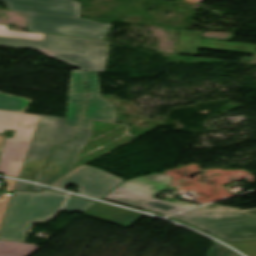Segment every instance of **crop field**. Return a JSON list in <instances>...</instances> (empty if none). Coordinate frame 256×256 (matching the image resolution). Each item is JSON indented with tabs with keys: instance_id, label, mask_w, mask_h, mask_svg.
<instances>
[{
	"instance_id": "crop-field-17",
	"label": "crop field",
	"mask_w": 256,
	"mask_h": 256,
	"mask_svg": "<svg viewBox=\"0 0 256 256\" xmlns=\"http://www.w3.org/2000/svg\"><path fill=\"white\" fill-rule=\"evenodd\" d=\"M69 94H87L84 71L72 69Z\"/></svg>"
},
{
	"instance_id": "crop-field-25",
	"label": "crop field",
	"mask_w": 256,
	"mask_h": 256,
	"mask_svg": "<svg viewBox=\"0 0 256 256\" xmlns=\"http://www.w3.org/2000/svg\"><path fill=\"white\" fill-rule=\"evenodd\" d=\"M218 256H240V255H238L237 253H235L227 248L222 247Z\"/></svg>"
},
{
	"instance_id": "crop-field-4",
	"label": "crop field",
	"mask_w": 256,
	"mask_h": 256,
	"mask_svg": "<svg viewBox=\"0 0 256 256\" xmlns=\"http://www.w3.org/2000/svg\"><path fill=\"white\" fill-rule=\"evenodd\" d=\"M172 184L170 176L154 173L124 181L104 199L145 209L164 216L184 211L198 204L175 200L166 202L153 198L157 193L167 189Z\"/></svg>"
},
{
	"instance_id": "crop-field-6",
	"label": "crop field",
	"mask_w": 256,
	"mask_h": 256,
	"mask_svg": "<svg viewBox=\"0 0 256 256\" xmlns=\"http://www.w3.org/2000/svg\"><path fill=\"white\" fill-rule=\"evenodd\" d=\"M41 115L0 111V133L16 130L6 138L0 155V172L18 177Z\"/></svg>"
},
{
	"instance_id": "crop-field-11",
	"label": "crop field",
	"mask_w": 256,
	"mask_h": 256,
	"mask_svg": "<svg viewBox=\"0 0 256 256\" xmlns=\"http://www.w3.org/2000/svg\"><path fill=\"white\" fill-rule=\"evenodd\" d=\"M93 120L116 123L112 103L101 96H88L80 128L91 129Z\"/></svg>"
},
{
	"instance_id": "crop-field-8",
	"label": "crop field",
	"mask_w": 256,
	"mask_h": 256,
	"mask_svg": "<svg viewBox=\"0 0 256 256\" xmlns=\"http://www.w3.org/2000/svg\"><path fill=\"white\" fill-rule=\"evenodd\" d=\"M121 181L123 180L114 175L82 165L69 171L50 186L65 189L74 184L81 186L78 189L80 194L101 198Z\"/></svg>"
},
{
	"instance_id": "crop-field-1",
	"label": "crop field",
	"mask_w": 256,
	"mask_h": 256,
	"mask_svg": "<svg viewBox=\"0 0 256 256\" xmlns=\"http://www.w3.org/2000/svg\"><path fill=\"white\" fill-rule=\"evenodd\" d=\"M0 46L38 50L81 70L103 72L109 42L46 35L43 42L0 37Z\"/></svg>"
},
{
	"instance_id": "crop-field-27",
	"label": "crop field",
	"mask_w": 256,
	"mask_h": 256,
	"mask_svg": "<svg viewBox=\"0 0 256 256\" xmlns=\"http://www.w3.org/2000/svg\"><path fill=\"white\" fill-rule=\"evenodd\" d=\"M220 248H221L220 244L215 242V244H214V246H213L209 256H217Z\"/></svg>"
},
{
	"instance_id": "crop-field-12",
	"label": "crop field",
	"mask_w": 256,
	"mask_h": 256,
	"mask_svg": "<svg viewBox=\"0 0 256 256\" xmlns=\"http://www.w3.org/2000/svg\"><path fill=\"white\" fill-rule=\"evenodd\" d=\"M83 215L128 227L143 214L127 211L103 203H96Z\"/></svg>"
},
{
	"instance_id": "crop-field-5",
	"label": "crop field",
	"mask_w": 256,
	"mask_h": 256,
	"mask_svg": "<svg viewBox=\"0 0 256 256\" xmlns=\"http://www.w3.org/2000/svg\"><path fill=\"white\" fill-rule=\"evenodd\" d=\"M66 118L42 115L20 178L39 182L52 146L78 135V128L65 127Z\"/></svg>"
},
{
	"instance_id": "crop-field-20",
	"label": "crop field",
	"mask_w": 256,
	"mask_h": 256,
	"mask_svg": "<svg viewBox=\"0 0 256 256\" xmlns=\"http://www.w3.org/2000/svg\"><path fill=\"white\" fill-rule=\"evenodd\" d=\"M95 202L69 197L66 205L62 209V211H78V212H85L89 209Z\"/></svg>"
},
{
	"instance_id": "crop-field-16",
	"label": "crop field",
	"mask_w": 256,
	"mask_h": 256,
	"mask_svg": "<svg viewBox=\"0 0 256 256\" xmlns=\"http://www.w3.org/2000/svg\"><path fill=\"white\" fill-rule=\"evenodd\" d=\"M86 96L69 95L66 126L78 127Z\"/></svg>"
},
{
	"instance_id": "crop-field-18",
	"label": "crop field",
	"mask_w": 256,
	"mask_h": 256,
	"mask_svg": "<svg viewBox=\"0 0 256 256\" xmlns=\"http://www.w3.org/2000/svg\"><path fill=\"white\" fill-rule=\"evenodd\" d=\"M26 99L0 94V110L20 112Z\"/></svg>"
},
{
	"instance_id": "crop-field-23",
	"label": "crop field",
	"mask_w": 256,
	"mask_h": 256,
	"mask_svg": "<svg viewBox=\"0 0 256 256\" xmlns=\"http://www.w3.org/2000/svg\"><path fill=\"white\" fill-rule=\"evenodd\" d=\"M42 189L43 188L38 187L36 185L18 181L14 190L39 192Z\"/></svg>"
},
{
	"instance_id": "crop-field-9",
	"label": "crop field",
	"mask_w": 256,
	"mask_h": 256,
	"mask_svg": "<svg viewBox=\"0 0 256 256\" xmlns=\"http://www.w3.org/2000/svg\"><path fill=\"white\" fill-rule=\"evenodd\" d=\"M90 132L91 130L89 129H80L78 138L53 148L42 183L49 185L72 169L78 152L86 144Z\"/></svg>"
},
{
	"instance_id": "crop-field-10",
	"label": "crop field",
	"mask_w": 256,
	"mask_h": 256,
	"mask_svg": "<svg viewBox=\"0 0 256 256\" xmlns=\"http://www.w3.org/2000/svg\"><path fill=\"white\" fill-rule=\"evenodd\" d=\"M10 10L80 18V3L75 0H0Z\"/></svg>"
},
{
	"instance_id": "crop-field-22",
	"label": "crop field",
	"mask_w": 256,
	"mask_h": 256,
	"mask_svg": "<svg viewBox=\"0 0 256 256\" xmlns=\"http://www.w3.org/2000/svg\"><path fill=\"white\" fill-rule=\"evenodd\" d=\"M89 95L100 94L98 76L95 72L86 71Z\"/></svg>"
},
{
	"instance_id": "crop-field-13",
	"label": "crop field",
	"mask_w": 256,
	"mask_h": 256,
	"mask_svg": "<svg viewBox=\"0 0 256 256\" xmlns=\"http://www.w3.org/2000/svg\"><path fill=\"white\" fill-rule=\"evenodd\" d=\"M202 32L180 30L176 53L197 55Z\"/></svg>"
},
{
	"instance_id": "crop-field-26",
	"label": "crop field",
	"mask_w": 256,
	"mask_h": 256,
	"mask_svg": "<svg viewBox=\"0 0 256 256\" xmlns=\"http://www.w3.org/2000/svg\"><path fill=\"white\" fill-rule=\"evenodd\" d=\"M2 181L7 183L5 190H9V191H13L15 184L17 182L14 180H6V179H2Z\"/></svg>"
},
{
	"instance_id": "crop-field-19",
	"label": "crop field",
	"mask_w": 256,
	"mask_h": 256,
	"mask_svg": "<svg viewBox=\"0 0 256 256\" xmlns=\"http://www.w3.org/2000/svg\"><path fill=\"white\" fill-rule=\"evenodd\" d=\"M0 36L42 41L45 35L37 33L11 31L7 30L6 26L0 25Z\"/></svg>"
},
{
	"instance_id": "crop-field-21",
	"label": "crop field",
	"mask_w": 256,
	"mask_h": 256,
	"mask_svg": "<svg viewBox=\"0 0 256 256\" xmlns=\"http://www.w3.org/2000/svg\"><path fill=\"white\" fill-rule=\"evenodd\" d=\"M248 256H256V241L228 243Z\"/></svg>"
},
{
	"instance_id": "crop-field-29",
	"label": "crop field",
	"mask_w": 256,
	"mask_h": 256,
	"mask_svg": "<svg viewBox=\"0 0 256 256\" xmlns=\"http://www.w3.org/2000/svg\"><path fill=\"white\" fill-rule=\"evenodd\" d=\"M2 138H3V136H0V146H1Z\"/></svg>"
},
{
	"instance_id": "crop-field-24",
	"label": "crop field",
	"mask_w": 256,
	"mask_h": 256,
	"mask_svg": "<svg viewBox=\"0 0 256 256\" xmlns=\"http://www.w3.org/2000/svg\"><path fill=\"white\" fill-rule=\"evenodd\" d=\"M12 195L2 194L0 198V225L3 220L6 208Z\"/></svg>"
},
{
	"instance_id": "crop-field-2",
	"label": "crop field",
	"mask_w": 256,
	"mask_h": 256,
	"mask_svg": "<svg viewBox=\"0 0 256 256\" xmlns=\"http://www.w3.org/2000/svg\"><path fill=\"white\" fill-rule=\"evenodd\" d=\"M170 218L203 229L226 242L256 240V209L211 204Z\"/></svg>"
},
{
	"instance_id": "crop-field-14",
	"label": "crop field",
	"mask_w": 256,
	"mask_h": 256,
	"mask_svg": "<svg viewBox=\"0 0 256 256\" xmlns=\"http://www.w3.org/2000/svg\"><path fill=\"white\" fill-rule=\"evenodd\" d=\"M200 48L246 53V54H252V53H255L256 51L255 45L222 42V41H214V40H206V39H202Z\"/></svg>"
},
{
	"instance_id": "crop-field-7",
	"label": "crop field",
	"mask_w": 256,
	"mask_h": 256,
	"mask_svg": "<svg viewBox=\"0 0 256 256\" xmlns=\"http://www.w3.org/2000/svg\"><path fill=\"white\" fill-rule=\"evenodd\" d=\"M112 24L93 20L29 13L28 30L87 38L105 39Z\"/></svg>"
},
{
	"instance_id": "crop-field-15",
	"label": "crop field",
	"mask_w": 256,
	"mask_h": 256,
	"mask_svg": "<svg viewBox=\"0 0 256 256\" xmlns=\"http://www.w3.org/2000/svg\"><path fill=\"white\" fill-rule=\"evenodd\" d=\"M38 249L34 244L0 240V256H28Z\"/></svg>"
},
{
	"instance_id": "crop-field-28",
	"label": "crop field",
	"mask_w": 256,
	"mask_h": 256,
	"mask_svg": "<svg viewBox=\"0 0 256 256\" xmlns=\"http://www.w3.org/2000/svg\"><path fill=\"white\" fill-rule=\"evenodd\" d=\"M30 100H27L26 104L24 105V107L22 108L21 112H25L28 104H29Z\"/></svg>"
},
{
	"instance_id": "crop-field-3",
	"label": "crop field",
	"mask_w": 256,
	"mask_h": 256,
	"mask_svg": "<svg viewBox=\"0 0 256 256\" xmlns=\"http://www.w3.org/2000/svg\"><path fill=\"white\" fill-rule=\"evenodd\" d=\"M66 196L48 190L41 193L15 192L0 230V239L26 242L28 234L24 229L32 222L56 213Z\"/></svg>"
}]
</instances>
